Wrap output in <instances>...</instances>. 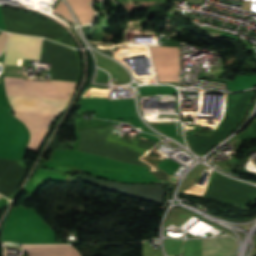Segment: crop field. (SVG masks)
Wrapping results in <instances>:
<instances>
[{"instance_id": "5a996713", "label": "crop field", "mask_w": 256, "mask_h": 256, "mask_svg": "<svg viewBox=\"0 0 256 256\" xmlns=\"http://www.w3.org/2000/svg\"><path fill=\"white\" fill-rule=\"evenodd\" d=\"M6 37H7V33H3V32L0 33V53L2 52L5 46Z\"/></svg>"}, {"instance_id": "412701ff", "label": "crop field", "mask_w": 256, "mask_h": 256, "mask_svg": "<svg viewBox=\"0 0 256 256\" xmlns=\"http://www.w3.org/2000/svg\"><path fill=\"white\" fill-rule=\"evenodd\" d=\"M40 42L41 38L9 34L4 65L15 66L16 57L37 59Z\"/></svg>"}, {"instance_id": "ac0d7876", "label": "crop field", "mask_w": 256, "mask_h": 256, "mask_svg": "<svg viewBox=\"0 0 256 256\" xmlns=\"http://www.w3.org/2000/svg\"><path fill=\"white\" fill-rule=\"evenodd\" d=\"M254 93L255 91H247L241 94H227L225 116L213 131L212 138L207 136L187 137L191 148L199 154H204L227 137L241 120L254 98Z\"/></svg>"}, {"instance_id": "e52e79f7", "label": "crop field", "mask_w": 256, "mask_h": 256, "mask_svg": "<svg viewBox=\"0 0 256 256\" xmlns=\"http://www.w3.org/2000/svg\"><path fill=\"white\" fill-rule=\"evenodd\" d=\"M93 0H68L71 4L80 23H90L94 18L95 12L89 6V2Z\"/></svg>"}, {"instance_id": "dd49c442", "label": "crop field", "mask_w": 256, "mask_h": 256, "mask_svg": "<svg viewBox=\"0 0 256 256\" xmlns=\"http://www.w3.org/2000/svg\"><path fill=\"white\" fill-rule=\"evenodd\" d=\"M28 256H79L69 245H23Z\"/></svg>"}, {"instance_id": "8a807250", "label": "crop field", "mask_w": 256, "mask_h": 256, "mask_svg": "<svg viewBox=\"0 0 256 256\" xmlns=\"http://www.w3.org/2000/svg\"><path fill=\"white\" fill-rule=\"evenodd\" d=\"M6 93L12 94H25V95H38L50 97H63L70 98L76 83L68 82H31L23 81L19 78L4 77ZM15 117L24 122L30 133V141L27 149L37 151L41 141L44 139L48 126L52 119L57 115L47 114H24L13 113Z\"/></svg>"}, {"instance_id": "3316defc", "label": "crop field", "mask_w": 256, "mask_h": 256, "mask_svg": "<svg viewBox=\"0 0 256 256\" xmlns=\"http://www.w3.org/2000/svg\"><path fill=\"white\" fill-rule=\"evenodd\" d=\"M2 196H0V198H1Z\"/></svg>"}, {"instance_id": "d8731c3e", "label": "crop field", "mask_w": 256, "mask_h": 256, "mask_svg": "<svg viewBox=\"0 0 256 256\" xmlns=\"http://www.w3.org/2000/svg\"><path fill=\"white\" fill-rule=\"evenodd\" d=\"M53 11L73 21V18L70 14L68 7L62 1L57 5V7Z\"/></svg>"}, {"instance_id": "f4fd0767", "label": "crop field", "mask_w": 256, "mask_h": 256, "mask_svg": "<svg viewBox=\"0 0 256 256\" xmlns=\"http://www.w3.org/2000/svg\"><path fill=\"white\" fill-rule=\"evenodd\" d=\"M236 242L231 237L202 239L201 256H226L233 253Z\"/></svg>"}, {"instance_id": "34b2d1b8", "label": "crop field", "mask_w": 256, "mask_h": 256, "mask_svg": "<svg viewBox=\"0 0 256 256\" xmlns=\"http://www.w3.org/2000/svg\"><path fill=\"white\" fill-rule=\"evenodd\" d=\"M149 49L157 80H178V46H149Z\"/></svg>"}]
</instances>
